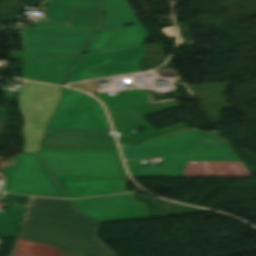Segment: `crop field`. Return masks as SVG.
<instances>
[{
  "mask_svg": "<svg viewBox=\"0 0 256 256\" xmlns=\"http://www.w3.org/2000/svg\"><path fill=\"white\" fill-rule=\"evenodd\" d=\"M108 110L150 103L145 90L121 91L117 96H105V92L95 94Z\"/></svg>",
  "mask_w": 256,
  "mask_h": 256,
  "instance_id": "crop-field-18",
  "label": "crop field"
},
{
  "mask_svg": "<svg viewBox=\"0 0 256 256\" xmlns=\"http://www.w3.org/2000/svg\"><path fill=\"white\" fill-rule=\"evenodd\" d=\"M26 207L12 205L9 212H0V234L16 237Z\"/></svg>",
  "mask_w": 256,
  "mask_h": 256,
  "instance_id": "crop-field-19",
  "label": "crop field"
},
{
  "mask_svg": "<svg viewBox=\"0 0 256 256\" xmlns=\"http://www.w3.org/2000/svg\"><path fill=\"white\" fill-rule=\"evenodd\" d=\"M73 202L81 213L100 222L149 218L147 204L136 201L133 194L80 199Z\"/></svg>",
  "mask_w": 256,
  "mask_h": 256,
  "instance_id": "crop-field-8",
  "label": "crop field"
},
{
  "mask_svg": "<svg viewBox=\"0 0 256 256\" xmlns=\"http://www.w3.org/2000/svg\"><path fill=\"white\" fill-rule=\"evenodd\" d=\"M176 100L110 111L117 136L132 134L133 130L151 127L142 117L145 114L177 106Z\"/></svg>",
  "mask_w": 256,
  "mask_h": 256,
  "instance_id": "crop-field-13",
  "label": "crop field"
},
{
  "mask_svg": "<svg viewBox=\"0 0 256 256\" xmlns=\"http://www.w3.org/2000/svg\"><path fill=\"white\" fill-rule=\"evenodd\" d=\"M43 23H50V24H61V25H66L64 23H57V22H43Z\"/></svg>",
  "mask_w": 256,
  "mask_h": 256,
  "instance_id": "crop-field-23",
  "label": "crop field"
},
{
  "mask_svg": "<svg viewBox=\"0 0 256 256\" xmlns=\"http://www.w3.org/2000/svg\"><path fill=\"white\" fill-rule=\"evenodd\" d=\"M70 198L125 192L126 179L54 174Z\"/></svg>",
  "mask_w": 256,
  "mask_h": 256,
  "instance_id": "crop-field-11",
  "label": "crop field"
},
{
  "mask_svg": "<svg viewBox=\"0 0 256 256\" xmlns=\"http://www.w3.org/2000/svg\"><path fill=\"white\" fill-rule=\"evenodd\" d=\"M147 129L149 130L134 135H130L124 138H120L119 140L121 144H134L149 139L165 136L163 132H161L160 130L156 131L153 127Z\"/></svg>",
  "mask_w": 256,
  "mask_h": 256,
  "instance_id": "crop-field-20",
  "label": "crop field"
},
{
  "mask_svg": "<svg viewBox=\"0 0 256 256\" xmlns=\"http://www.w3.org/2000/svg\"><path fill=\"white\" fill-rule=\"evenodd\" d=\"M172 150L193 152H234L223 138L211 136L196 130L176 134Z\"/></svg>",
  "mask_w": 256,
  "mask_h": 256,
  "instance_id": "crop-field-15",
  "label": "crop field"
},
{
  "mask_svg": "<svg viewBox=\"0 0 256 256\" xmlns=\"http://www.w3.org/2000/svg\"><path fill=\"white\" fill-rule=\"evenodd\" d=\"M27 199H28V197H24V196L3 194L0 201L7 202V203H13V204H19V205H25L27 203Z\"/></svg>",
  "mask_w": 256,
  "mask_h": 256,
  "instance_id": "crop-field-21",
  "label": "crop field"
},
{
  "mask_svg": "<svg viewBox=\"0 0 256 256\" xmlns=\"http://www.w3.org/2000/svg\"><path fill=\"white\" fill-rule=\"evenodd\" d=\"M16 158L13 168L5 167L6 192L66 198L37 153Z\"/></svg>",
  "mask_w": 256,
  "mask_h": 256,
  "instance_id": "crop-field-6",
  "label": "crop field"
},
{
  "mask_svg": "<svg viewBox=\"0 0 256 256\" xmlns=\"http://www.w3.org/2000/svg\"><path fill=\"white\" fill-rule=\"evenodd\" d=\"M147 35L143 25L101 30L92 37L84 52L142 45Z\"/></svg>",
  "mask_w": 256,
  "mask_h": 256,
  "instance_id": "crop-field-12",
  "label": "crop field"
},
{
  "mask_svg": "<svg viewBox=\"0 0 256 256\" xmlns=\"http://www.w3.org/2000/svg\"><path fill=\"white\" fill-rule=\"evenodd\" d=\"M48 129L111 130L97 100L64 88V98Z\"/></svg>",
  "mask_w": 256,
  "mask_h": 256,
  "instance_id": "crop-field-7",
  "label": "crop field"
},
{
  "mask_svg": "<svg viewBox=\"0 0 256 256\" xmlns=\"http://www.w3.org/2000/svg\"><path fill=\"white\" fill-rule=\"evenodd\" d=\"M66 26L40 24L34 29L20 31L24 52H11L12 57H24L21 62L54 57L67 32Z\"/></svg>",
  "mask_w": 256,
  "mask_h": 256,
  "instance_id": "crop-field-9",
  "label": "crop field"
},
{
  "mask_svg": "<svg viewBox=\"0 0 256 256\" xmlns=\"http://www.w3.org/2000/svg\"><path fill=\"white\" fill-rule=\"evenodd\" d=\"M61 98V88L26 82L19 93L25 120L24 153L38 152L45 129Z\"/></svg>",
  "mask_w": 256,
  "mask_h": 256,
  "instance_id": "crop-field-4",
  "label": "crop field"
},
{
  "mask_svg": "<svg viewBox=\"0 0 256 256\" xmlns=\"http://www.w3.org/2000/svg\"><path fill=\"white\" fill-rule=\"evenodd\" d=\"M106 14L104 28L122 27L124 24H137L138 21L125 0H102Z\"/></svg>",
  "mask_w": 256,
  "mask_h": 256,
  "instance_id": "crop-field-16",
  "label": "crop field"
},
{
  "mask_svg": "<svg viewBox=\"0 0 256 256\" xmlns=\"http://www.w3.org/2000/svg\"><path fill=\"white\" fill-rule=\"evenodd\" d=\"M97 228L98 222L79 214L67 200L34 197L18 238L96 256H115L96 238Z\"/></svg>",
  "mask_w": 256,
  "mask_h": 256,
  "instance_id": "crop-field-1",
  "label": "crop field"
},
{
  "mask_svg": "<svg viewBox=\"0 0 256 256\" xmlns=\"http://www.w3.org/2000/svg\"><path fill=\"white\" fill-rule=\"evenodd\" d=\"M52 173L126 178L118 151L43 149Z\"/></svg>",
  "mask_w": 256,
  "mask_h": 256,
  "instance_id": "crop-field-3",
  "label": "crop field"
},
{
  "mask_svg": "<svg viewBox=\"0 0 256 256\" xmlns=\"http://www.w3.org/2000/svg\"><path fill=\"white\" fill-rule=\"evenodd\" d=\"M149 45L82 54L66 82L138 72Z\"/></svg>",
  "mask_w": 256,
  "mask_h": 256,
  "instance_id": "crop-field-5",
  "label": "crop field"
},
{
  "mask_svg": "<svg viewBox=\"0 0 256 256\" xmlns=\"http://www.w3.org/2000/svg\"><path fill=\"white\" fill-rule=\"evenodd\" d=\"M96 31L98 30L69 27L55 57L81 54L87 41Z\"/></svg>",
  "mask_w": 256,
  "mask_h": 256,
  "instance_id": "crop-field-17",
  "label": "crop field"
},
{
  "mask_svg": "<svg viewBox=\"0 0 256 256\" xmlns=\"http://www.w3.org/2000/svg\"><path fill=\"white\" fill-rule=\"evenodd\" d=\"M45 20L67 22L69 25L102 27L100 0H51Z\"/></svg>",
  "mask_w": 256,
  "mask_h": 256,
  "instance_id": "crop-field-10",
  "label": "crop field"
},
{
  "mask_svg": "<svg viewBox=\"0 0 256 256\" xmlns=\"http://www.w3.org/2000/svg\"><path fill=\"white\" fill-rule=\"evenodd\" d=\"M186 129H189V128L184 126L183 124H179V125H175V126H171V127L162 129V131L164 133H166L167 135H169V134L176 133V132L186 130Z\"/></svg>",
  "mask_w": 256,
  "mask_h": 256,
  "instance_id": "crop-field-22",
  "label": "crop field"
},
{
  "mask_svg": "<svg viewBox=\"0 0 256 256\" xmlns=\"http://www.w3.org/2000/svg\"><path fill=\"white\" fill-rule=\"evenodd\" d=\"M78 56L24 63L22 78L62 85L70 65Z\"/></svg>",
  "mask_w": 256,
  "mask_h": 256,
  "instance_id": "crop-field-14",
  "label": "crop field"
},
{
  "mask_svg": "<svg viewBox=\"0 0 256 256\" xmlns=\"http://www.w3.org/2000/svg\"><path fill=\"white\" fill-rule=\"evenodd\" d=\"M174 135L143 143L138 146H122L126 159L163 157V166L130 167L132 176H182L188 160L198 161H240L236 153H194L171 151Z\"/></svg>",
  "mask_w": 256,
  "mask_h": 256,
  "instance_id": "crop-field-2",
  "label": "crop field"
}]
</instances>
